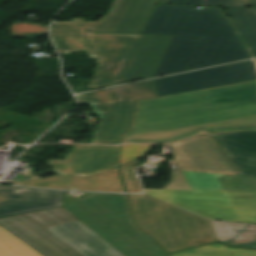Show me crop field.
I'll return each mask as SVG.
<instances>
[{
	"label": "crop field",
	"mask_w": 256,
	"mask_h": 256,
	"mask_svg": "<svg viewBox=\"0 0 256 256\" xmlns=\"http://www.w3.org/2000/svg\"><path fill=\"white\" fill-rule=\"evenodd\" d=\"M170 256H256V250L229 247L215 243Z\"/></svg>",
	"instance_id": "obj_18"
},
{
	"label": "crop field",
	"mask_w": 256,
	"mask_h": 256,
	"mask_svg": "<svg viewBox=\"0 0 256 256\" xmlns=\"http://www.w3.org/2000/svg\"><path fill=\"white\" fill-rule=\"evenodd\" d=\"M138 161H134L128 164H124L121 167L123 178L125 181L127 192L130 193H140L142 192L140 183L135 174V166Z\"/></svg>",
	"instance_id": "obj_21"
},
{
	"label": "crop field",
	"mask_w": 256,
	"mask_h": 256,
	"mask_svg": "<svg viewBox=\"0 0 256 256\" xmlns=\"http://www.w3.org/2000/svg\"><path fill=\"white\" fill-rule=\"evenodd\" d=\"M256 130V82L139 102L124 143H171L201 131Z\"/></svg>",
	"instance_id": "obj_3"
},
{
	"label": "crop field",
	"mask_w": 256,
	"mask_h": 256,
	"mask_svg": "<svg viewBox=\"0 0 256 256\" xmlns=\"http://www.w3.org/2000/svg\"><path fill=\"white\" fill-rule=\"evenodd\" d=\"M201 38L175 37L154 76L185 70Z\"/></svg>",
	"instance_id": "obj_14"
},
{
	"label": "crop field",
	"mask_w": 256,
	"mask_h": 256,
	"mask_svg": "<svg viewBox=\"0 0 256 256\" xmlns=\"http://www.w3.org/2000/svg\"><path fill=\"white\" fill-rule=\"evenodd\" d=\"M64 192L25 188L15 193L0 185V218L62 207Z\"/></svg>",
	"instance_id": "obj_11"
},
{
	"label": "crop field",
	"mask_w": 256,
	"mask_h": 256,
	"mask_svg": "<svg viewBox=\"0 0 256 256\" xmlns=\"http://www.w3.org/2000/svg\"><path fill=\"white\" fill-rule=\"evenodd\" d=\"M156 97L151 81L77 96L80 104H90L102 115L92 142L100 144H120L122 135L131 130L137 100Z\"/></svg>",
	"instance_id": "obj_7"
},
{
	"label": "crop field",
	"mask_w": 256,
	"mask_h": 256,
	"mask_svg": "<svg viewBox=\"0 0 256 256\" xmlns=\"http://www.w3.org/2000/svg\"><path fill=\"white\" fill-rule=\"evenodd\" d=\"M256 80L253 61L153 80L160 97Z\"/></svg>",
	"instance_id": "obj_10"
},
{
	"label": "crop field",
	"mask_w": 256,
	"mask_h": 256,
	"mask_svg": "<svg viewBox=\"0 0 256 256\" xmlns=\"http://www.w3.org/2000/svg\"><path fill=\"white\" fill-rule=\"evenodd\" d=\"M46 230L63 240L83 256H123L79 220L49 227Z\"/></svg>",
	"instance_id": "obj_12"
},
{
	"label": "crop field",
	"mask_w": 256,
	"mask_h": 256,
	"mask_svg": "<svg viewBox=\"0 0 256 256\" xmlns=\"http://www.w3.org/2000/svg\"><path fill=\"white\" fill-rule=\"evenodd\" d=\"M49 26L17 22L12 24L10 37L34 39L48 33Z\"/></svg>",
	"instance_id": "obj_20"
},
{
	"label": "crop field",
	"mask_w": 256,
	"mask_h": 256,
	"mask_svg": "<svg viewBox=\"0 0 256 256\" xmlns=\"http://www.w3.org/2000/svg\"><path fill=\"white\" fill-rule=\"evenodd\" d=\"M248 6H256V0L227 6L226 9L239 8V7H248Z\"/></svg>",
	"instance_id": "obj_24"
},
{
	"label": "crop field",
	"mask_w": 256,
	"mask_h": 256,
	"mask_svg": "<svg viewBox=\"0 0 256 256\" xmlns=\"http://www.w3.org/2000/svg\"><path fill=\"white\" fill-rule=\"evenodd\" d=\"M157 0H115L108 15L98 22H53L51 34L61 55L87 50L99 65L88 87L152 78L173 37L139 34ZM86 51V52H87Z\"/></svg>",
	"instance_id": "obj_1"
},
{
	"label": "crop field",
	"mask_w": 256,
	"mask_h": 256,
	"mask_svg": "<svg viewBox=\"0 0 256 256\" xmlns=\"http://www.w3.org/2000/svg\"><path fill=\"white\" fill-rule=\"evenodd\" d=\"M239 174L256 176V132L214 134Z\"/></svg>",
	"instance_id": "obj_13"
},
{
	"label": "crop field",
	"mask_w": 256,
	"mask_h": 256,
	"mask_svg": "<svg viewBox=\"0 0 256 256\" xmlns=\"http://www.w3.org/2000/svg\"><path fill=\"white\" fill-rule=\"evenodd\" d=\"M76 190L125 192L119 168L75 180Z\"/></svg>",
	"instance_id": "obj_16"
},
{
	"label": "crop field",
	"mask_w": 256,
	"mask_h": 256,
	"mask_svg": "<svg viewBox=\"0 0 256 256\" xmlns=\"http://www.w3.org/2000/svg\"><path fill=\"white\" fill-rule=\"evenodd\" d=\"M150 145L129 144L121 149L120 165L144 156Z\"/></svg>",
	"instance_id": "obj_22"
},
{
	"label": "crop field",
	"mask_w": 256,
	"mask_h": 256,
	"mask_svg": "<svg viewBox=\"0 0 256 256\" xmlns=\"http://www.w3.org/2000/svg\"><path fill=\"white\" fill-rule=\"evenodd\" d=\"M171 147V182L146 194L207 218L256 223V178L238 176L213 136Z\"/></svg>",
	"instance_id": "obj_2"
},
{
	"label": "crop field",
	"mask_w": 256,
	"mask_h": 256,
	"mask_svg": "<svg viewBox=\"0 0 256 256\" xmlns=\"http://www.w3.org/2000/svg\"><path fill=\"white\" fill-rule=\"evenodd\" d=\"M65 209L124 256H167L156 242L133 224L125 195Z\"/></svg>",
	"instance_id": "obj_6"
},
{
	"label": "crop field",
	"mask_w": 256,
	"mask_h": 256,
	"mask_svg": "<svg viewBox=\"0 0 256 256\" xmlns=\"http://www.w3.org/2000/svg\"><path fill=\"white\" fill-rule=\"evenodd\" d=\"M251 51L256 50V7L228 11Z\"/></svg>",
	"instance_id": "obj_17"
},
{
	"label": "crop field",
	"mask_w": 256,
	"mask_h": 256,
	"mask_svg": "<svg viewBox=\"0 0 256 256\" xmlns=\"http://www.w3.org/2000/svg\"><path fill=\"white\" fill-rule=\"evenodd\" d=\"M77 220L64 208L0 219V226L44 256H81L46 227Z\"/></svg>",
	"instance_id": "obj_9"
},
{
	"label": "crop field",
	"mask_w": 256,
	"mask_h": 256,
	"mask_svg": "<svg viewBox=\"0 0 256 256\" xmlns=\"http://www.w3.org/2000/svg\"><path fill=\"white\" fill-rule=\"evenodd\" d=\"M119 150L120 147L116 146L76 145L65 160L47 161L59 174L44 180L23 183L21 186L75 190L74 179L117 167Z\"/></svg>",
	"instance_id": "obj_8"
},
{
	"label": "crop field",
	"mask_w": 256,
	"mask_h": 256,
	"mask_svg": "<svg viewBox=\"0 0 256 256\" xmlns=\"http://www.w3.org/2000/svg\"><path fill=\"white\" fill-rule=\"evenodd\" d=\"M254 56L256 57V52H253Z\"/></svg>",
	"instance_id": "obj_25"
},
{
	"label": "crop field",
	"mask_w": 256,
	"mask_h": 256,
	"mask_svg": "<svg viewBox=\"0 0 256 256\" xmlns=\"http://www.w3.org/2000/svg\"><path fill=\"white\" fill-rule=\"evenodd\" d=\"M137 225L169 253L215 242L211 220L145 195H129Z\"/></svg>",
	"instance_id": "obj_5"
},
{
	"label": "crop field",
	"mask_w": 256,
	"mask_h": 256,
	"mask_svg": "<svg viewBox=\"0 0 256 256\" xmlns=\"http://www.w3.org/2000/svg\"><path fill=\"white\" fill-rule=\"evenodd\" d=\"M219 241L240 247L255 248L256 226L212 221Z\"/></svg>",
	"instance_id": "obj_15"
},
{
	"label": "crop field",
	"mask_w": 256,
	"mask_h": 256,
	"mask_svg": "<svg viewBox=\"0 0 256 256\" xmlns=\"http://www.w3.org/2000/svg\"><path fill=\"white\" fill-rule=\"evenodd\" d=\"M0 256H41L0 227Z\"/></svg>",
	"instance_id": "obj_19"
},
{
	"label": "crop field",
	"mask_w": 256,
	"mask_h": 256,
	"mask_svg": "<svg viewBox=\"0 0 256 256\" xmlns=\"http://www.w3.org/2000/svg\"><path fill=\"white\" fill-rule=\"evenodd\" d=\"M143 34L203 37L185 71L251 57L218 9L158 4Z\"/></svg>",
	"instance_id": "obj_4"
},
{
	"label": "crop field",
	"mask_w": 256,
	"mask_h": 256,
	"mask_svg": "<svg viewBox=\"0 0 256 256\" xmlns=\"http://www.w3.org/2000/svg\"><path fill=\"white\" fill-rule=\"evenodd\" d=\"M244 1H249V0H160V2H165V3L208 5V6H226V5L244 2Z\"/></svg>",
	"instance_id": "obj_23"
}]
</instances>
